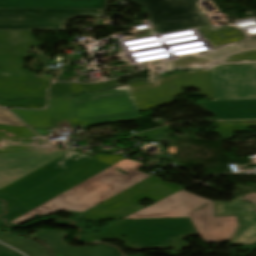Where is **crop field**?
Segmentation results:
<instances>
[{
    "mask_svg": "<svg viewBox=\"0 0 256 256\" xmlns=\"http://www.w3.org/2000/svg\"><path fill=\"white\" fill-rule=\"evenodd\" d=\"M40 230V229H39ZM38 231V230H37ZM69 233L58 230H40L36 232L37 238L49 247L56 254L67 256H120L117 249L105 245L91 247H72L65 243L64 239Z\"/></svg>",
    "mask_w": 256,
    "mask_h": 256,
    "instance_id": "cbeb9de0",
    "label": "crop field"
},
{
    "mask_svg": "<svg viewBox=\"0 0 256 256\" xmlns=\"http://www.w3.org/2000/svg\"><path fill=\"white\" fill-rule=\"evenodd\" d=\"M105 0H0L4 8H103Z\"/></svg>",
    "mask_w": 256,
    "mask_h": 256,
    "instance_id": "733c2abd",
    "label": "crop field"
},
{
    "mask_svg": "<svg viewBox=\"0 0 256 256\" xmlns=\"http://www.w3.org/2000/svg\"><path fill=\"white\" fill-rule=\"evenodd\" d=\"M108 167V165L89 159L42 186L16 198L14 201H10L11 203L7 204L10 210V220L54 198Z\"/></svg>",
    "mask_w": 256,
    "mask_h": 256,
    "instance_id": "5a996713",
    "label": "crop field"
},
{
    "mask_svg": "<svg viewBox=\"0 0 256 256\" xmlns=\"http://www.w3.org/2000/svg\"><path fill=\"white\" fill-rule=\"evenodd\" d=\"M71 117L96 125L130 120L140 115L128 90L110 89L72 99Z\"/></svg>",
    "mask_w": 256,
    "mask_h": 256,
    "instance_id": "e52e79f7",
    "label": "crop field"
},
{
    "mask_svg": "<svg viewBox=\"0 0 256 256\" xmlns=\"http://www.w3.org/2000/svg\"><path fill=\"white\" fill-rule=\"evenodd\" d=\"M189 217L203 244L230 240L239 227L236 216L214 217L213 202L184 190L124 219Z\"/></svg>",
    "mask_w": 256,
    "mask_h": 256,
    "instance_id": "412701ff",
    "label": "crop field"
},
{
    "mask_svg": "<svg viewBox=\"0 0 256 256\" xmlns=\"http://www.w3.org/2000/svg\"><path fill=\"white\" fill-rule=\"evenodd\" d=\"M221 62H239V61H227V60H221Z\"/></svg>",
    "mask_w": 256,
    "mask_h": 256,
    "instance_id": "1d83c4d3",
    "label": "crop field"
},
{
    "mask_svg": "<svg viewBox=\"0 0 256 256\" xmlns=\"http://www.w3.org/2000/svg\"><path fill=\"white\" fill-rule=\"evenodd\" d=\"M115 85H119V83L114 80L108 81L105 83H101V84H93V85L71 83V92H81V91H83V89H86L87 91H92V90H96V89L112 87Z\"/></svg>",
    "mask_w": 256,
    "mask_h": 256,
    "instance_id": "00972430",
    "label": "crop field"
},
{
    "mask_svg": "<svg viewBox=\"0 0 256 256\" xmlns=\"http://www.w3.org/2000/svg\"><path fill=\"white\" fill-rule=\"evenodd\" d=\"M199 30L203 33L204 38H207L214 46L245 39L241 31L230 27L218 29L207 27Z\"/></svg>",
    "mask_w": 256,
    "mask_h": 256,
    "instance_id": "4a817a6b",
    "label": "crop field"
},
{
    "mask_svg": "<svg viewBox=\"0 0 256 256\" xmlns=\"http://www.w3.org/2000/svg\"><path fill=\"white\" fill-rule=\"evenodd\" d=\"M146 9L154 33L207 25L198 0H129Z\"/></svg>",
    "mask_w": 256,
    "mask_h": 256,
    "instance_id": "3316defc",
    "label": "crop field"
},
{
    "mask_svg": "<svg viewBox=\"0 0 256 256\" xmlns=\"http://www.w3.org/2000/svg\"><path fill=\"white\" fill-rule=\"evenodd\" d=\"M207 26H209V25H207ZM207 26H202V27H207ZM197 28H200V27H197Z\"/></svg>",
    "mask_w": 256,
    "mask_h": 256,
    "instance_id": "120bbe31",
    "label": "crop field"
},
{
    "mask_svg": "<svg viewBox=\"0 0 256 256\" xmlns=\"http://www.w3.org/2000/svg\"><path fill=\"white\" fill-rule=\"evenodd\" d=\"M101 9H3L0 30H64L75 16H99Z\"/></svg>",
    "mask_w": 256,
    "mask_h": 256,
    "instance_id": "28ad6ade",
    "label": "crop field"
},
{
    "mask_svg": "<svg viewBox=\"0 0 256 256\" xmlns=\"http://www.w3.org/2000/svg\"><path fill=\"white\" fill-rule=\"evenodd\" d=\"M239 46L245 49H256V40H248L245 42L239 43Z\"/></svg>",
    "mask_w": 256,
    "mask_h": 256,
    "instance_id": "ae1a2a85",
    "label": "crop field"
},
{
    "mask_svg": "<svg viewBox=\"0 0 256 256\" xmlns=\"http://www.w3.org/2000/svg\"><path fill=\"white\" fill-rule=\"evenodd\" d=\"M214 119L256 118V100L250 101H197Z\"/></svg>",
    "mask_w": 256,
    "mask_h": 256,
    "instance_id": "d9b57169",
    "label": "crop field"
},
{
    "mask_svg": "<svg viewBox=\"0 0 256 256\" xmlns=\"http://www.w3.org/2000/svg\"><path fill=\"white\" fill-rule=\"evenodd\" d=\"M50 147L54 146L37 138L29 128L0 125V153Z\"/></svg>",
    "mask_w": 256,
    "mask_h": 256,
    "instance_id": "5142ce71",
    "label": "crop field"
},
{
    "mask_svg": "<svg viewBox=\"0 0 256 256\" xmlns=\"http://www.w3.org/2000/svg\"><path fill=\"white\" fill-rule=\"evenodd\" d=\"M0 124L24 126L19 120H17L13 115L0 107Z\"/></svg>",
    "mask_w": 256,
    "mask_h": 256,
    "instance_id": "4177f3b9",
    "label": "crop field"
},
{
    "mask_svg": "<svg viewBox=\"0 0 256 256\" xmlns=\"http://www.w3.org/2000/svg\"><path fill=\"white\" fill-rule=\"evenodd\" d=\"M241 51L242 48L236 44L202 57L169 62V70L204 69L162 77L154 84L134 82L128 85V90L140 111L172 101L173 97L181 94L182 87H199L201 94L215 100L256 99V62L219 63L221 59ZM166 71L152 74L151 77Z\"/></svg>",
    "mask_w": 256,
    "mask_h": 256,
    "instance_id": "8a807250",
    "label": "crop field"
},
{
    "mask_svg": "<svg viewBox=\"0 0 256 256\" xmlns=\"http://www.w3.org/2000/svg\"><path fill=\"white\" fill-rule=\"evenodd\" d=\"M183 188L173 184L165 183L152 176L125 191L113 196L101 204L83 212L72 220L81 216L89 220L105 218H123L141 208L138 201L147 198L153 202L175 193Z\"/></svg>",
    "mask_w": 256,
    "mask_h": 256,
    "instance_id": "d8731c3e",
    "label": "crop field"
},
{
    "mask_svg": "<svg viewBox=\"0 0 256 256\" xmlns=\"http://www.w3.org/2000/svg\"><path fill=\"white\" fill-rule=\"evenodd\" d=\"M69 93H70L69 83H56L50 86V91H49L50 97H58L59 95H66Z\"/></svg>",
    "mask_w": 256,
    "mask_h": 256,
    "instance_id": "a9b5d70f",
    "label": "crop field"
},
{
    "mask_svg": "<svg viewBox=\"0 0 256 256\" xmlns=\"http://www.w3.org/2000/svg\"><path fill=\"white\" fill-rule=\"evenodd\" d=\"M141 165L143 164L126 158L9 223L18 225L35 215L51 214L58 210L77 211L81 213L150 177L135 170ZM115 167H119L129 174L124 176Z\"/></svg>",
    "mask_w": 256,
    "mask_h": 256,
    "instance_id": "34b2d1b8",
    "label": "crop field"
},
{
    "mask_svg": "<svg viewBox=\"0 0 256 256\" xmlns=\"http://www.w3.org/2000/svg\"><path fill=\"white\" fill-rule=\"evenodd\" d=\"M169 130H171V128L169 126H166V127H163V128H159L157 130H153V131L138 134L134 137H136L137 139H141L143 137H148V136L155 135V134L162 133V132H166V131H169Z\"/></svg>",
    "mask_w": 256,
    "mask_h": 256,
    "instance_id": "eef30255",
    "label": "crop field"
},
{
    "mask_svg": "<svg viewBox=\"0 0 256 256\" xmlns=\"http://www.w3.org/2000/svg\"><path fill=\"white\" fill-rule=\"evenodd\" d=\"M33 129V128H32ZM34 130V129H33ZM35 131V130H34ZM39 134V133H38ZM40 135V134H39Z\"/></svg>",
    "mask_w": 256,
    "mask_h": 256,
    "instance_id": "d32e631a",
    "label": "crop field"
},
{
    "mask_svg": "<svg viewBox=\"0 0 256 256\" xmlns=\"http://www.w3.org/2000/svg\"><path fill=\"white\" fill-rule=\"evenodd\" d=\"M34 44L36 41L30 31H0L1 97H46L50 78L37 76L35 79L22 67V59Z\"/></svg>",
    "mask_w": 256,
    "mask_h": 256,
    "instance_id": "f4fd0767",
    "label": "crop field"
},
{
    "mask_svg": "<svg viewBox=\"0 0 256 256\" xmlns=\"http://www.w3.org/2000/svg\"><path fill=\"white\" fill-rule=\"evenodd\" d=\"M243 198L256 203V194H249V195H247V196H245Z\"/></svg>",
    "mask_w": 256,
    "mask_h": 256,
    "instance_id": "d3111659",
    "label": "crop field"
},
{
    "mask_svg": "<svg viewBox=\"0 0 256 256\" xmlns=\"http://www.w3.org/2000/svg\"><path fill=\"white\" fill-rule=\"evenodd\" d=\"M90 157L60 148L0 154V195L18 197Z\"/></svg>",
    "mask_w": 256,
    "mask_h": 256,
    "instance_id": "ac0d7876",
    "label": "crop field"
},
{
    "mask_svg": "<svg viewBox=\"0 0 256 256\" xmlns=\"http://www.w3.org/2000/svg\"><path fill=\"white\" fill-rule=\"evenodd\" d=\"M106 228L131 248L182 246L178 238L196 233L189 218L119 220Z\"/></svg>",
    "mask_w": 256,
    "mask_h": 256,
    "instance_id": "dd49c442",
    "label": "crop field"
},
{
    "mask_svg": "<svg viewBox=\"0 0 256 256\" xmlns=\"http://www.w3.org/2000/svg\"><path fill=\"white\" fill-rule=\"evenodd\" d=\"M0 256H22V255L18 253L0 252Z\"/></svg>",
    "mask_w": 256,
    "mask_h": 256,
    "instance_id": "750c4746",
    "label": "crop field"
},
{
    "mask_svg": "<svg viewBox=\"0 0 256 256\" xmlns=\"http://www.w3.org/2000/svg\"><path fill=\"white\" fill-rule=\"evenodd\" d=\"M226 59H239V60L247 59L249 61H256V50L241 52L239 54L233 55Z\"/></svg>",
    "mask_w": 256,
    "mask_h": 256,
    "instance_id": "730fd06b",
    "label": "crop field"
},
{
    "mask_svg": "<svg viewBox=\"0 0 256 256\" xmlns=\"http://www.w3.org/2000/svg\"><path fill=\"white\" fill-rule=\"evenodd\" d=\"M218 133L222 139H232L234 131L248 130L249 126H256V120H242V121H216Z\"/></svg>",
    "mask_w": 256,
    "mask_h": 256,
    "instance_id": "214f88e0",
    "label": "crop field"
},
{
    "mask_svg": "<svg viewBox=\"0 0 256 256\" xmlns=\"http://www.w3.org/2000/svg\"><path fill=\"white\" fill-rule=\"evenodd\" d=\"M215 216L237 215L240 227L229 245L256 243V205L236 198L232 202H214Z\"/></svg>",
    "mask_w": 256,
    "mask_h": 256,
    "instance_id": "d1516ede",
    "label": "crop field"
},
{
    "mask_svg": "<svg viewBox=\"0 0 256 256\" xmlns=\"http://www.w3.org/2000/svg\"><path fill=\"white\" fill-rule=\"evenodd\" d=\"M30 127L42 129L71 128L70 99H49L46 110H15L11 109Z\"/></svg>",
    "mask_w": 256,
    "mask_h": 256,
    "instance_id": "22f410ed",
    "label": "crop field"
},
{
    "mask_svg": "<svg viewBox=\"0 0 256 256\" xmlns=\"http://www.w3.org/2000/svg\"><path fill=\"white\" fill-rule=\"evenodd\" d=\"M0 105L5 107H17V108H41L45 106V99L36 100H15L8 102L5 99H0Z\"/></svg>",
    "mask_w": 256,
    "mask_h": 256,
    "instance_id": "92a150f3",
    "label": "crop field"
},
{
    "mask_svg": "<svg viewBox=\"0 0 256 256\" xmlns=\"http://www.w3.org/2000/svg\"><path fill=\"white\" fill-rule=\"evenodd\" d=\"M0 251H10V252H15V251H13V250H11V249H8V248H6V247H3V246H1V245H0Z\"/></svg>",
    "mask_w": 256,
    "mask_h": 256,
    "instance_id": "bd1437ed",
    "label": "crop field"
},
{
    "mask_svg": "<svg viewBox=\"0 0 256 256\" xmlns=\"http://www.w3.org/2000/svg\"><path fill=\"white\" fill-rule=\"evenodd\" d=\"M194 236V235H192ZM192 236H188V237H184V238H190ZM103 239H116V238H111L107 232L104 233H97V234H90V235H80L79 240L81 241H85V242H92L93 240H103ZM183 239V238H180ZM122 240V239H121ZM181 241V240H180ZM182 242V241H181ZM124 245L129 248L124 240H123ZM183 247H170V249H172L173 251H175L176 253L189 247L187 244H185L184 242H182ZM130 249V248H129ZM144 249H156V248H144ZM130 250H142V249H130Z\"/></svg>",
    "mask_w": 256,
    "mask_h": 256,
    "instance_id": "dafd665d",
    "label": "crop field"
},
{
    "mask_svg": "<svg viewBox=\"0 0 256 256\" xmlns=\"http://www.w3.org/2000/svg\"><path fill=\"white\" fill-rule=\"evenodd\" d=\"M0 240L22 250L29 256H50L48 251L41 244L30 239L18 236H9L0 232Z\"/></svg>",
    "mask_w": 256,
    "mask_h": 256,
    "instance_id": "bc2a9ffb",
    "label": "crop field"
}]
</instances>
